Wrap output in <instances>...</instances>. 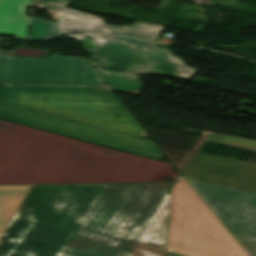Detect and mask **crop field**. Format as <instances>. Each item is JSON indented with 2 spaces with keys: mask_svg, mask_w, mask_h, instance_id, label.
<instances>
[{
  "mask_svg": "<svg viewBox=\"0 0 256 256\" xmlns=\"http://www.w3.org/2000/svg\"><path fill=\"white\" fill-rule=\"evenodd\" d=\"M212 138H214V139H219V138L238 139V138L222 136V135H216V134Z\"/></svg>",
  "mask_w": 256,
  "mask_h": 256,
  "instance_id": "bc2a9ffb",
  "label": "crop field"
},
{
  "mask_svg": "<svg viewBox=\"0 0 256 256\" xmlns=\"http://www.w3.org/2000/svg\"><path fill=\"white\" fill-rule=\"evenodd\" d=\"M97 70L100 72L112 90L137 95L140 94L142 84L138 81L139 75L101 68H97Z\"/></svg>",
  "mask_w": 256,
  "mask_h": 256,
  "instance_id": "22f410ed",
  "label": "crop field"
},
{
  "mask_svg": "<svg viewBox=\"0 0 256 256\" xmlns=\"http://www.w3.org/2000/svg\"><path fill=\"white\" fill-rule=\"evenodd\" d=\"M104 185H31L0 239V256H63Z\"/></svg>",
  "mask_w": 256,
  "mask_h": 256,
  "instance_id": "8a807250",
  "label": "crop field"
},
{
  "mask_svg": "<svg viewBox=\"0 0 256 256\" xmlns=\"http://www.w3.org/2000/svg\"><path fill=\"white\" fill-rule=\"evenodd\" d=\"M60 27V26H59ZM55 22L45 21L32 17L29 38L45 39L59 34H64Z\"/></svg>",
  "mask_w": 256,
  "mask_h": 256,
  "instance_id": "5142ce71",
  "label": "crop field"
},
{
  "mask_svg": "<svg viewBox=\"0 0 256 256\" xmlns=\"http://www.w3.org/2000/svg\"><path fill=\"white\" fill-rule=\"evenodd\" d=\"M0 119L161 161L154 141L0 101Z\"/></svg>",
  "mask_w": 256,
  "mask_h": 256,
  "instance_id": "dd49c442",
  "label": "crop field"
},
{
  "mask_svg": "<svg viewBox=\"0 0 256 256\" xmlns=\"http://www.w3.org/2000/svg\"><path fill=\"white\" fill-rule=\"evenodd\" d=\"M0 81L105 83L84 58L29 59L0 54Z\"/></svg>",
  "mask_w": 256,
  "mask_h": 256,
  "instance_id": "e52e79f7",
  "label": "crop field"
},
{
  "mask_svg": "<svg viewBox=\"0 0 256 256\" xmlns=\"http://www.w3.org/2000/svg\"><path fill=\"white\" fill-rule=\"evenodd\" d=\"M171 183L106 184L65 256H129Z\"/></svg>",
  "mask_w": 256,
  "mask_h": 256,
  "instance_id": "ac0d7876",
  "label": "crop field"
},
{
  "mask_svg": "<svg viewBox=\"0 0 256 256\" xmlns=\"http://www.w3.org/2000/svg\"><path fill=\"white\" fill-rule=\"evenodd\" d=\"M31 0H20L16 38H26L28 20L29 17H26L27 6H30Z\"/></svg>",
  "mask_w": 256,
  "mask_h": 256,
  "instance_id": "d9b57169",
  "label": "crop field"
},
{
  "mask_svg": "<svg viewBox=\"0 0 256 256\" xmlns=\"http://www.w3.org/2000/svg\"><path fill=\"white\" fill-rule=\"evenodd\" d=\"M165 256H249L183 176L171 188Z\"/></svg>",
  "mask_w": 256,
  "mask_h": 256,
  "instance_id": "412701ff",
  "label": "crop field"
},
{
  "mask_svg": "<svg viewBox=\"0 0 256 256\" xmlns=\"http://www.w3.org/2000/svg\"><path fill=\"white\" fill-rule=\"evenodd\" d=\"M19 0H0V33L15 34Z\"/></svg>",
  "mask_w": 256,
  "mask_h": 256,
  "instance_id": "cbeb9de0",
  "label": "crop field"
},
{
  "mask_svg": "<svg viewBox=\"0 0 256 256\" xmlns=\"http://www.w3.org/2000/svg\"><path fill=\"white\" fill-rule=\"evenodd\" d=\"M183 173L192 180L256 192V164L196 153Z\"/></svg>",
  "mask_w": 256,
  "mask_h": 256,
  "instance_id": "5a996713",
  "label": "crop field"
},
{
  "mask_svg": "<svg viewBox=\"0 0 256 256\" xmlns=\"http://www.w3.org/2000/svg\"><path fill=\"white\" fill-rule=\"evenodd\" d=\"M170 194H165L130 256H164Z\"/></svg>",
  "mask_w": 256,
  "mask_h": 256,
  "instance_id": "28ad6ade",
  "label": "crop field"
},
{
  "mask_svg": "<svg viewBox=\"0 0 256 256\" xmlns=\"http://www.w3.org/2000/svg\"><path fill=\"white\" fill-rule=\"evenodd\" d=\"M0 100L144 138L108 85L0 83Z\"/></svg>",
  "mask_w": 256,
  "mask_h": 256,
  "instance_id": "34b2d1b8",
  "label": "crop field"
},
{
  "mask_svg": "<svg viewBox=\"0 0 256 256\" xmlns=\"http://www.w3.org/2000/svg\"><path fill=\"white\" fill-rule=\"evenodd\" d=\"M40 2L55 4L65 7L69 0H39Z\"/></svg>",
  "mask_w": 256,
  "mask_h": 256,
  "instance_id": "4a817a6b",
  "label": "crop field"
},
{
  "mask_svg": "<svg viewBox=\"0 0 256 256\" xmlns=\"http://www.w3.org/2000/svg\"><path fill=\"white\" fill-rule=\"evenodd\" d=\"M69 36L82 43L84 49L92 54V66L125 71L137 74L156 73L189 79L197 70L185 66L180 57L171 56L166 48L156 47V43L109 37L101 34Z\"/></svg>",
  "mask_w": 256,
  "mask_h": 256,
  "instance_id": "f4fd0767",
  "label": "crop field"
},
{
  "mask_svg": "<svg viewBox=\"0 0 256 256\" xmlns=\"http://www.w3.org/2000/svg\"><path fill=\"white\" fill-rule=\"evenodd\" d=\"M212 136L213 135H207L205 140L256 151V142L248 141V140H242V139H239V140H228V139L214 140V139L211 138Z\"/></svg>",
  "mask_w": 256,
  "mask_h": 256,
  "instance_id": "733c2abd",
  "label": "crop field"
},
{
  "mask_svg": "<svg viewBox=\"0 0 256 256\" xmlns=\"http://www.w3.org/2000/svg\"><path fill=\"white\" fill-rule=\"evenodd\" d=\"M30 185L0 186V236Z\"/></svg>",
  "mask_w": 256,
  "mask_h": 256,
  "instance_id": "d1516ede",
  "label": "crop field"
},
{
  "mask_svg": "<svg viewBox=\"0 0 256 256\" xmlns=\"http://www.w3.org/2000/svg\"><path fill=\"white\" fill-rule=\"evenodd\" d=\"M250 256H256V193L188 181Z\"/></svg>",
  "mask_w": 256,
  "mask_h": 256,
  "instance_id": "d8731c3e",
  "label": "crop field"
},
{
  "mask_svg": "<svg viewBox=\"0 0 256 256\" xmlns=\"http://www.w3.org/2000/svg\"><path fill=\"white\" fill-rule=\"evenodd\" d=\"M44 6L61 12L59 17L64 19L61 22H57V24L65 34L95 31L155 41L163 29L162 26L139 22H136L133 26H111L103 24L104 21L101 18L78 11L49 4H44Z\"/></svg>",
  "mask_w": 256,
  "mask_h": 256,
  "instance_id": "3316defc",
  "label": "crop field"
}]
</instances>
